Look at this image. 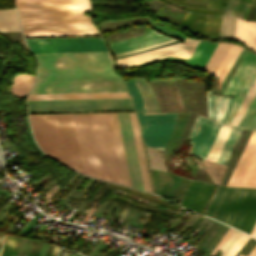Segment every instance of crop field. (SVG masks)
<instances>
[{"label": "crop field", "mask_w": 256, "mask_h": 256, "mask_svg": "<svg viewBox=\"0 0 256 256\" xmlns=\"http://www.w3.org/2000/svg\"><path fill=\"white\" fill-rule=\"evenodd\" d=\"M26 42L38 62L31 93L126 91L102 38Z\"/></svg>", "instance_id": "crop-field-1"}, {"label": "crop field", "mask_w": 256, "mask_h": 256, "mask_svg": "<svg viewBox=\"0 0 256 256\" xmlns=\"http://www.w3.org/2000/svg\"><path fill=\"white\" fill-rule=\"evenodd\" d=\"M24 37L100 35L82 15L89 0H16Z\"/></svg>", "instance_id": "crop-field-2"}, {"label": "crop field", "mask_w": 256, "mask_h": 256, "mask_svg": "<svg viewBox=\"0 0 256 256\" xmlns=\"http://www.w3.org/2000/svg\"><path fill=\"white\" fill-rule=\"evenodd\" d=\"M29 118L34 138L44 153L83 173L72 115Z\"/></svg>", "instance_id": "crop-field-3"}, {"label": "crop field", "mask_w": 256, "mask_h": 256, "mask_svg": "<svg viewBox=\"0 0 256 256\" xmlns=\"http://www.w3.org/2000/svg\"><path fill=\"white\" fill-rule=\"evenodd\" d=\"M204 214L250 234L256 222V189L217 187Z\"/></svg>", "instance_id": "crop-field-4"}, {"label": "crop field", "mask_w": 256, "mask_h": 256, "mask_svg": "<svg viewBox=\"0 0 256 256\" xmlns=\"http://www.w3.org/2000/svg\"><path fill=\"white\" fill-rule=\"evenodd\" d=\"M150 172L156 194L182 199L179 205L202 213L213 191V185L151 170Z\"/></svg>", "instance_id": "crop-field-5"}, {"label": "crop field", "mask_w": 256, "mask_h": 256, "mask_svg": "<svg viewBox=\"0 0 256 256\" xmlns=\"http://www.w3.org/2000/svg\"><path fill=\"white\" fill-rule=\"evenodd\" d=\"M125 83L137 111L143 144L162 149L177 113H145L142 97L132 79Z\"/></svg>", "instance_id": "crop-field-6"}, {"label": "crop field", "mask_w": 256, "mask_h": 256, "mask_svg": "<svg viewBox=\"0 0 256 256\" xmlns=\"http://www.w3.org/2000/svg\"><path fill=\"white\" fill-rule=\"evenodd\" d=\"M29 112L134 110L129 98L27 101Z\"/></svg>", "instance_id": "crop-field-7"}, {"label": "crop field", "mask_w": 256, "mask_h": 256, "mask_svg": "<svg viewBox=\"0 0 256 256\" xmlns=\"http://www.w3.org/2000/svg\"><path fill=\"white\" fill-rule=\"evenodd\" d=\"M183 5H187L189 7L195 8H210L213 10H201V9H194V8H186L187 10L195 11L202 14H209V15H219L220 13V5L222 0H214L212 5V0H208V4H199V3H192V2H200V0H167ZM192 1V2H188ZM226 0H224L221 10V16H206L201 14H194L187 11L184 19L182 20L180 27L188 28L189 31L193 34L200 32V36L204 33V26H205V19H206V26H205V33L204 36L208 38H217L218 31L220 29V22L223 14V6ZM182 7V6H180Z\"/></svg>", "instance_id": "crop-field-8"}, {"label": "crop field", "mask_w": 256, "mask_h": 256, "mask_svg": "<svg viewBox=\"0 0 256 256\" xmlns=\"http://www.w3.org/2000/svg\"><path fill=\"white\" fill-rule=\"evenodd\" d=\"M256 77V55L249 52L245 56L223 95L235 96L233 105L226 121L229 124L234 113L242 102Z\"/></svg>", "instance_id": "crop-field-9"}, {"label": "crop field", "mask_w": 256, "mask_h": 256, "mask_svg": "<svg viewBox=\"0 0 256 256\" xmlns=\"http://www.w3.org/2000/svg\"><path fill=\"white\" fill-rule=\"evenodd\" d=\"M226 186L256 188V131H253Z\"/></svg>", "instance_id": "crop-field-10"}, {"label": "crop field", "mask_w": 256, "mask_h": 256, "mask_svg": "<svg viewBox=\"0 0 256 256\" xmlns=\"http://www.w3.org/2000/svg\"><path fill=\"white\" fill-rule=\"evenodd\" d=\"M184 42H185L184 45L181 43H178V44L163 47L161 49L118 58L116 59L118 67L124 68L128 66H133V65L149 62V61H152L161 57H166V56L189 58L198 40L190 39L186 37Z\"/></svg>", "instance_id": "crop-field-11"}, {"label": "crop field", "mask_w": 256, "mask_h": 256, "mask_svg": "<svg viewBox=\"0 0 256 256\" xmlns=\"http://www.w3.org/2000/svg\"><path fill=\"white\" fill-rule=\"evenodd\" d=\"M117 115H118L131 185L133 188L144 191L138 159H137L136 148H135V144L132 136V129H131V124L129 120V115L128 113H122Z\"/></svg>", "instance_id": "crop-field-12"}, {"label": "crop field", "mask_w": 256, "mask_h": 256, "mask_svg": "<svg viewBox=\"0 0 256 256\" xmlns=\"http://www.w3.org/2000/svg\"><path fill=\"white\" fill-rule=\"evenodd\" d=\"M199 120H201V122L193 138H191ZM220 125L221 124L214 123L206 118L198 116L188 137L192 139L191 144L193 145H191L187 154H194L204 159Z\"/></svg>", "instance_id": "crop-field-13"}, {"label": "crop field", "mask_w": 256, "mask_h": 256, "mask_svg": "<svg viewBox=\"0 0 256 256\" xmlns=\"http://www.w3.org/2000/svg\"><path fill=\"white\" fill-rule=\"evenodd\" d=\"M169 40H172V39H170L164 35H160L157 32H155L154 30H151L150 32L146 33V35H144L140 38L115 42V43H111L109 45H110V50L112 51L113 55H115V54L130 51L129 49L135 48L138 46L148 44L146 46H143V47H147L150 45H154V44L169 41ZM143 47H139V48H143ZM135 49H138V48H135ZM131 50H134V49H131Z\"/></svg>", "instance_id": "crop-field-14"}, {"label": "crop field", "mask_w": 256, "mask_h": 256, "mask_svg": "<svg viewBox=\"0 0 256 256\" xmlns=\"http://www.w3.org/2000/svg\"><path fill=\"white\" fill-rule=\"evenodd\" d=\"M212 92L213 91H207L208 117L224 123L233 97L212 95Z\"/></svg>", "instance_id": "crop-field-15"}, {"label": "crop field", "mask_w": 256, "mask_h": 256, "mask_svg": "<svg viewBox=\"0 0 256 256\" xmlns=\"http://www.w3.org/2000/svg\"><path fill=\"white\" fill-rule=\"evenodd\" d=\"M106 186L125 190V191H127V192H129V193H133V194H135V195H137V196H139V197H141V198H145V199H148V200H150V201H153V202L159 203V204H161V205H164V206H166V207H168V208H170V209H172V210H174V211H179V210H180V209L176 208L177 206L175 207V206H173V205L167 203L168 201L166 202V201H164V200H162V199H159V198H157V197H154V196L142 194V193L136 192V191H134V190H131V189H129V188H124V187H120V186L113 185V184H109V183H107ZM113 193H114V194H117V195H121V196L127 197V198H130V199H133V200H135V201H137V202H140V203H142V204L149 205V204H147V203H145V202H143V201H141V200H138V199H136V198H134V197L127 196V195H124V194H120V193H117V192H113ZM111 199L118 200V201H120V202H123V203L129 205V206L140 207V208H142V209H146V210H150V211H157V212L164 213V214H167V215H169V216H172V215H170V214H168V213H165V212H161V211H158V210H154V209H151V208H148V207L139 206V205H137V204H135V203H133V202H131V201H129V200L123 199V198H119V197L113 196ZM150 206H153V205H150ZM155 207H157V206H155ZM157 208L162 209V210H165V211L170 212V213H173V212H171V211H169V210H167V209L161 208V207H157ZM177 213H178V212H177ZM172 217H174V216H172Z\"/></svg>", "instance_id": "crop-field-16"}, {"label": "crop field", "mask_w": 256, "mask_h": 256, "mask_svg": "<svg viewBox=\"0 0 256 256\" xmlns=\"http://www.w3.org/2000/svg\"><path fill=\"white\" fill-rule=\"evenodd\" d=\"M129 97L127 92L30 94L27 100Z\"/></svg>", "instance_id": "crop-field-17"}, {"label": "crop field", "mask_w": 256, "mask_h": 256, "mask_svg": "<svg viewBox=\"0 0 256 256\" xmlns=\"http://www.w3.org/2000/svg\"><path fill=\"white\" fill-rule=\"evenodd\" d=\"M109 116H110V121H111V127H112V132H113L114 143H115V148H116L117 159H118L122 182L124 185L131 187L128 170H127V165H126V160H125V155H124V150H123V145H122V140H121V135H120V130H119V125H118V121H117V116H116V113L109 114Z\"/></svg>", "instance_id": "crop-field-18"}, {"label": "crop field", "mask_w": 256, "mask_h": 256, "mask_svg": "<svg viewBox=\"0 0 256 256\" xmlns=\"http://www.w3.org/2000/svg\"><path fill=\"white\" fill-rule=\"evenodd\" d=\"M129 115H130V119H131V123H132V129H133V134H134V138H135V143H136V148H137V153H138V158H139V163H140V168H141V173H142V178H143L144 189H145V191L151 192L147 169H146L143 147H142V143H141V139H140V129H139L137 117H136L135 113H129Z\"/></svg>", "instance_id": "crop-field-19"}, {"label": "crop field", "mask_w": 256, "mask_h": 256, "mask_svg": "<svg viewBox=\"0 0 256 256\" xmlns=\"http://www.w3.org/2000/svg\"><path fill=\"white\" fill-rule=\"evenodd\" d=\"M217 43L199 41L186 66L203 70Z\"/></svg>", "instance_id": "crop-field-20"}, {"label": "crop field", "mask_w": 256, "mask_h": 256, "mask_svg": "<svg viewBox=\"0 0 256 256\" xmlns=\"http://www.w3.org/2000/svg\"><path fill=\"white\" fill-rule=\"evenodd\" d=\"M236 40L256 50V22L237 18Z\"/></svg>", "instance_id": "crop-field-21"}, {"label": "crop field", "mask_w": 256, "mask_h": 256, "mask_svg": "<svg viewBox=\"0 0 256 256\" xmlns=\"http://www.w3.org/2000/svg\"><path fill=\"white\" fill-rule=\"evenodd\" d=\"M133 81L143 97L146 112H159L152 90L145 79L134 78Z\"/></svg>", "instance_id": "crop-field-22"}, {"label": "crop field", "mask_w": 256, "mask_h": 256, "mask_svg": "<svg viewBox=\"0 0 256 256\" xmlns=\"http://www.w3.org/2000/svg\"><path fill=\"white\" fill-rule=\"evenodd\" d=\"M230 46L231 44L228 43H218L216 49L206 64L204 71L208 72L209 75H214Z\"/></svg>", "instance_id": "crop-field-23"}, {"label": "crop field", "mask_w": 256, "mask_h": 256, "mask_svg": "<svg viewBox=\"0 0 256 256\" xmlns=\"http://www.w3.org/2000/svg\"><path fill=\"white\" fill-rule=\"evenodd\" d=\"M34 76L19 74L14 76V84L11 85L13 95L25 97L33 86Z\"/></svg>", "instance_id": "crop-field-24"}, {"label": "crop field", "mask_w": 256, "mask_h": 256, "mask_svg": "<svg viewBox=\"0 0 256 256\" xmlns=\"http://www.w3.org/2000/svg\"><path fill=\"white\" fill-rule=\"evenodd\" d=\"M0 31H20L14 9L0 10Z\"/></svg>", "instance_id": "crop-field-25"}, {"label": "crop field", "mask_w": 256, "mask_h": 256, "mask_svg": "<svg viewBox=\"0 0 256 256\" xmlns=\"http://www.w3.org/2000/svg\"><path fill=\"white\" fill-rule=\"evenodd\" d=\"M241 48L242 47H240L236 44H232L230 50L228 51L225 59L223 60L221 66L219 67V69H218V71L215 75V76H219V86H220L222 80L224 79L227 71L231 67L232 63L236 59V57H237L238 53L240 52Z\"/></svg>", "instance_id": "crop-field-26"}, {"label": "crop field", "mask_w": 256, "mask_h": 256, "mask_svg": "<svg viewBox=\"0 0 256 256\" xmlns=\"http://www.w3.org/2000/svg\"><path fill=\"white\" fill-rule=\"evenodd\" d=\"M241 130L242 129H240V128H235V127L232 128V130L225 142V145L216 161L217 163H226Z\"/></svg>", "instance_id": "crop-field-27"}, {"label": "crop field", "mask_w": 256, "mask_h": 256, "mask_svg": "<svg viewBox=\"0 0 256 256\" xmlns=\"http://www.w3.org/2000/svg\"><path fill=\"white\" fill-rule=\"evenodd\" d=\"M238 126L256 130V95L254 96Z\"/></svg>", "instance_id": "crop-field-28"}, {"label": "crop field", "mask_w": 256, "mask_h": 256, "mask_svg": "<svg viewBox=\"0 0 256 256\" xmlns=\"http://www.w3.org/2000/svg\"><path fill=\"white\" fill-rule=\"evenodd\" d=\"M224 25H225V16L223 15L221 29L219 31L218 37H223ZM229 29H230V16H226V26H225L224 37H227V38L229 37ZM232 29H233V17L231 18V29H230V37H229L230 39L232 35ZM235 30H236V18H234V30H233L232 39H234Z\"/></svg>", "instance_id": "crop-field-29"}, {"label": "crop field", "mask_w": 256, "mask_h": 256, "mask_svg": "<svg viewBox=\"0 0 256 256\" xmlns=\"http://www.w3.org/2000/svg\"><path fill=\"white\" fill-rule=\"evenodd\" d=\"M240 234H241V232L233 229V231L230 233V235L225 240L223 245L220 247L221 250H224L220 256H225L227 254V252L230 250V248L235 243V241L240 236Z\"/></svg>", "instance_id": "crop-field-30"}, {"label": "crop field", "mask_w": 256, "mask_h": 256, "mask_svg": "<svg viewBox=\"0 0 256 256\" xmlns=\"http://www.w3.org/2000/svg\"><path fill=\"white\" fill-rule=\"evenodd\" d=\"M17 237L6 235L1 256H11Z\"/></svg>", "instance_id": "crop-field-31"}, {"label": "crop field", "mask_w": 256, "mask_h": 256, "mask_svg": "<svg viewBox=\"0 0 256 256\" xmlns=\"http://www.w3.org/2000/svg\"><path fill=\"white\" fill-rule=\"evenodd\" d=\"M248 238L249 236L242 233L239 239L237 238L238 240L236 241V243L233 245V247L231 248V250L228 252L226 256H235L238 253V251L241 249V247L244 245V243L247 241Z\"/></svg>", "instance_id": "crop-field-32"}, {"label": "crop field", "mask_w": 256, "mask_h": 256, "mask_svg": "<svg viewBox=\"0 0 256 256\" xmlns=\"http://www.w3.org/2000/svg\"><path fill=\"white\" fill-rule=\"evenodd\" d=\"M245 5L246 4L244 3L234 1L229 15L241 18L244 12Z\"/></svg>", "instance_id": "crop-field-33"}, {"label": "crop field", "mask_w": 256, "mask_h": 256, "mask_svg": "<svg viewBox=\"0 0 256 256\" xmlns=\"http://www.w3.org/2000/svg\"><path fill=\"white\" fill-rule=\"evenodd\" d=\"M256 245V240L250 237V239L245 243L243 248L240 250L239 253L248 255L252 248Z\"/></svg>", "instance_id": "crop-field-34"}, {"label": "crop field", "mask_w": 256, "mask_h": 256, "mask_svg": "<svg viewBox=\"0 0 256 256\" xmlns=\"http://www.w3.org/2000/svg\"><path fill=\"white\" fill-rule=\"evenodd\" d=\"M42 243L43 242L33 240L32 245H31V249H30V253H29L28 256H38L39 251L42 247Z\"/></svg>", "instance_id": "crop-field-35"}, {"label": "crop field", "mask_w": 256, "mask_h": 256, "mask_svg": "<svg viewBox=\"0 0 256 256\" xmlns=\"http://www.w3.org/2000/svg\"><path fill=\"white\" fill-rule=\"evenodd\" d=\"M232 231V228L229 227V229L227 230V232L225 233V235L222 237V239L219 241V243L216 245V247L214 248V250L211 252V255H214L219 247L222 245V243L224 242V240L227 238V236L229 235V233ZM210 255V256H211Z\"/></svg>", "instance_id": "crop-field-36"}, {"label": "crop field", "mask_w": 256, "mask_h": 256, "mask_svg": "<svg viewBox=\"0 0 256 256\" xmlns=\"http://www.w3.org/2000/svg\"><path fill=\"white\" fill-rule=\"evenodd\" d=\"M255 80H256V79H255ZM255 85H256V83H255ZM255 85H254V87H255ZM254 87L252 88L251 92L253 91ZM255 89H256V88H255ZM254 91H255V90H254ZM248 92H249V91H248ZM251 92H250V94H251ZM253 93H254V92H253ZM253 93H252V94H253ZM255 93H256V91H255ZM255 93H254V95H255ZM250 94L248 95L247 99L249 98ZM254 95H253V96H254ZM251 96H252V95H251ZM253 96H252V98H253ZM250 98H251V97H250ZM250 98H249V100H250ZM252 98H251V100H252ZM247 99H246V101H247ZM249 100H248V101H249ZM251 100H250V101H251ZM246 101H245V103H246ZM250 101H249V103H250ZM245 103L243 104V106L245 105ZM247 103H248V102H247ZM247 103H246V105H247ZM249 103H248V105H249ZM246 105H245V106H246ZM248 105H247V107H248ZM243 106H242V108H243ZM247 107H246V108H247ZM242 108H241V110H242ZM244 108H245V107H244ZM244 108H243V110H244ZM246 108H245V110H246ZM241 110H240V111H241ZM243 110H242V112H243ZM245 110H244V112H245ZM237 111H238V110H237ZM240 111H239V113H240ZM242 112H241V113H242ZM244 112L242 113V115L244 114ZM239 113H238V115H239ZM238 115H237V117H238ZM240 115H241V114H240ZM240 115H239V117H240ZM242 115H241V117H242ZM237 117H236V118H237ZM239 117H238V118H239ZM241 117H240V119H241ZM236 118H235V120H236ZM240 119H239V120H240ZM235 120H234V122H235ZM237 120H238V119H237ZM237 120H236V122H237ZM239 120H238V122H239ZM234 122H233V124H234ZM236 122H235V124H236ZM238 122H237V124H238ZM231 124H232V123H231ZM237 124H236V125H237Z\"/></svg>", "instance_id": "crop-field-37"}, {"label": "crop field", "mask_w": 256, "mask_h": 256, "mask_svg": "<svg viewBox=\"0 0 256 256\" xmlns=\"http://www.w3.org/2000/svg\"><path fill=\"white\" fill-rule=\"evenodd\" d=\"M204 217L201 216L199 220L187 231V233L184 235V237H188L192 231L203 221Z\"/></svg>", "instance_id": "crop-field-38"}, {"label": "crop field", "mask_w": 256, "mask_h": 256, "mask_svg": "<svg viewBox=\"0 0 256 256\" xmlns=\"http://www.w3.org/2000/svg\"><path fill=\"white\" fill-rule=\"evenodd\" d=\"M248 14H249V16H248L247 20H254L255 14H256V7L252 5Z\"/></svg>", "instance_id": "crop-field-39"}, {"label": "crop field", "mask_w": 256, "mask_h": 256, "mask_svg": "<svg viewBox=\"0 0 256 256\" xmlns=\"http://www.w3.org/2000/svg\"><path fill=\"white\" fill-rule=\"evenodd\" d=\"M53 246H54V245H52V244L49 245V247H48V249H47V251H46V253H45L44 256H50V254H51V252H52V250H53ZM56 247H57V246L55 245V246H54L53 253H52L51 256L54 255V252H55V250H56Z\"/></svg>", "instance_id": "crop-field-40"}, {"label": "crop field", "mask_w": 256, "mask_h": 256, "mask_svg": "<svg viewBox=\"0 0 256 256\" xmlns=\"http://www.w3.org/2000/svg\"><path fill=\"white\" fill-rule=\"evenodd\" d=\"M20 239L21 238H19V237L17 238L16 244H15V249L13 251L12 256H16V254H17V250H18V246H19V243H20Z\"/></svg>", "instance_id": "crop-field-41"}, {"label": "crop field", "mask_w": 256, "mask_h": 256, "mask_svg": "<svg viewBox=\"0 0 256 256\" xmlns=\"http://www.w3.org/2000/svg\"><path fill=\"white\" fill-rule=\"evenodd\" d=\"M148 216H149V214H148V213H145V215L143 216V218H142V220H141L139 226L142 227V226L144 225V223L146 222Z\"/></svg>", "instance_id": "crop-field-42"}, {"label": "crop field", "mask_w": 256, "mask_h": 256, "mask_svg": "<svg viewBox=\"0 0 256 256\" xmlns=\"http://www.w3.org/2000/svg\"><path fill=\"white\" fill-rule=\"evenodd\" d=\"M242 256V255H240ZM248 256H256V246L254 247V249L250 252V254Z\"/></svg>", "instance_id": "crop-field-43"}, {"label": "crop field", "mask_w": 256, "mask_h": 256, "mask_svg": "<svg viewBox=\"0 0 256 256\" xmlns=\"http://www.w3.org/2000/svg\"><path fill=\"white\" fill-rule=\"evenodd\" d=\"M251 235L256 236V224L251 232ZM255 238V237H254Z\"/></svg>", "instance_id": "crop-field-44"}, {"label": "crop field", "mask_w": 256, "mask_h": 256, "mask_svg": "<svg viewBox=\"0 0 256 256\" xmlns=\"http://www.w3.org/2000/svg\"><path fill=\"white\" fill-rule=\"evenodd\" d=\"M176 40V39H175ZM175 40H173V41H175ZM169 42H172V41H169ZM166 43H168V42H166ZM162 44H165V43H162ZM159 45H161V44H159ZM155 46H157V45H155ZM153 47V46H152ZM149 48V47H148ZM143 49H145V48H143ZM139 50H141V49H139ZM135 51H137V50H135ZM131 52H134V51H131ZM131 52H127V53H131ZM127 53H123V54H127ZM119 55H122V54H119ZM115 56H117V55H115Z\"/></svg>", "instance_id": "crop-field-45"}, {"label": "crop field", "mask_w": 256, "mask_h": 256, "mask_svg": "<svg viewBox=\"0 0 256 256\" xmlns=\"http://www.w3.org/2000/svg\"><path fill=\"white\" fill-rule=\"evenodd\" d=\"M94 179L92 180V182L89 184V186H91V184L93 183ZM88 186V187H89ZM88 187L81 193V195L78 197L77 200H79V198L85 193V191L88 189Z\"/></svg>", "instance_id": "crop-field-46"}, {"label": "crop field", "mask_w": 256, "mask_h": 256, "mask_svg": "<svg viewBox=\"0 0 256 256\" xmlns=\"http://www.w3.org/2000/svg\"><path fill=\"white\" fill-rule=\"evenodd\" d=\"M50 174L48 173V174H46L44 177H42L41 179H39V180H37L36 182H34V183H39L40 181H42L43 179H45L47 176H49Z\"/></svg>", "instance_id": "crop-field-47"}, {"label": "crop field", "mask_w": 256, "mask_h": 256, "mask_svg": "<svg viewBox=\"0 0 256 256\" xmlns=\"http://www.w3.org/2000/svg\"><path fill=\"white\" fill-rule=\"evenodd\" d=\"M240 2H247V3H252L253 0H239Z\"/></svg>", "instance_id": "crop-field-48"}, {"label": "crop field", "mask_w": 256, "mask_h": 256, "mask_svg": "<svg viewBox=\"0 0 256 256\" xmlns=\"http://www.w3.org/2000/svg\"><path fill=\"white\" fill-rule=\"evenodd\" d=\"M60 248H61V247L59 246L54 256H57V255H58Z\"/></svg>", "instance_id": "crop-field-49"}, {"label": "crop field", "mask_w": 256, "mask_h": 256, "mask_svg": "<svg viewBox=\"0 0 256 256\" xmlns=\"http://www.w3.org/2000/svg\"><path fill=\"white\" fill-rule=\"evenodd\" d=\"M3 236H4V235L1 234L0 243H2ZM0 245H1V244H0Z\"/></svg>", "instance_id": "crop-field-50"}, {"label": "crop field", "mask_w": 256, "mask_h": 256, "mask_svg": "<svg viewBox=\"0 0 256 256\" xmlns=\"http://www.w3.org/2000/svg\"><path fill=\"white\" fill-rule=\"evenodd\" d=\"M207 0H201V3H206Z\"/></svg>", "instance_id": "crop-field-51"}, {"label": "crop field", "mask_w": 256, "mask_h": 256, "mask_svg": "<svg viewBox=\"0 0 256 256\" xmlns=\"http://www.w3.org/2000/svg\"><path fill=\"white\" fill-rule=\"evenodd\" d=\"M256 4V0H254V2H253V5H255Z\"/></svg>", "instance_id": "crop-field-52"}, {"label": "crop field", "mask_w": 256, "mask_h": 256, "mask_svg": "<svg viewBox=\"0 0 256 256\" xmlns=\"http://www.w3.org/2000/svg\"><path fill=\"white\" fill-rule=\"evenodd\" d=\"M255 20H256V18H255Z\"/></svg>", "instance_id": "crop-field-53"}, {"label": "crop field", "mask_w": 256, "mask_h": 256, "mask_svg": "<svg viewBox=\"0 0 256 256\" xmlns=\"http://www.w3.org/2000/svg\"><path fill=\"white\" fill-rule=\"evenodd\" d=\"M236 1H238V0H236Z\"/></svg>", "instance_id": "crop-field-54"}]
</instances>
